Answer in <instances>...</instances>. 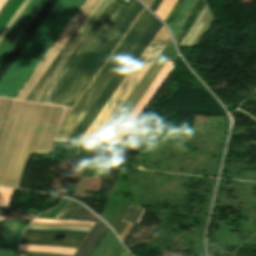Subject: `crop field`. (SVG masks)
Wrapping results in <instances>:
<instances>
[{"label":"crop field","instance_id":"obj_1","mask_svg":"<svg viewBox=\"0 0 256 256\" xmlns=\"http://www.w3.org/2000/svg\"><path fill=\"white\" fill-rule=\"evenodd\" d=\"M143 8L112 2L40 102L73 107Z\"/></svg>","mask_w":256,"mask_h":256},{"label":"crop field","instance_id":"obj_2","mask_svg":"<svg viewBox=\"0 0 256 256\" xmlns=\"http://www.w3.org/2000/svg\"><path fill=\"white\" fill-rule=\"evenodd\" d=\"M83 0H58L0 80V96L13 98Z\"/></svg>","mask_w":256,"mask_h":256},{"label":"crop field","instance_id":"obj_3","mask_svg":"<svg viewBox=\"0 0 256 256\" xmlns=\"http://www.w3.org/2000/svg\"><path fill=\"white\" fill-rule=\"evenodd\" d=\"M154 18L155 17L145 9L69 115L60 125L56 137L57 140H67Z\"/></svg>","mask_w":256,"mask_h":256},{"label":"crop field","instance_id":"obj_4","mask_svg":"<svg viewBox=\"0 0 256 256\" xmlns=\"http://www.w3.org/2000/svg\"><path fill=\"white\" fill-rule=\"evenodd\" d=\"M169 39L162 25L80 141L97 140Z\"/></svg>","mask_w":256,"mask_h":256},{"label":"crop field","instance_id":"obj_5","mask_svg":"<svg viewBox=\"0 0 256 256\" xmlns=\"http://www.w3.org/2000/svg\"><path fill=\"white\" fill-rule=\"evenodd\" d=\"M156 18L155 20L152 22V24L149 26V28L147 29V31L144 33V35L142 36V38L139 40V42L136 44V46L134 47V49L131 51V53L129 54V56L126 58V60L123 62V64L121 65V67L118 69V71L115 73V75L113 76V78L110 80V82L108 83V85L105 87V89L102 91V93L100 94V96L97 98V100L94 102V104L92 105V107L89 109V111L87 112V114L84 116V118L81 120V122L79 123V125L76 127V129L74 130V132L71 134V136L68 138V140H71V138L74 136V134L76 133V131L79 129V127L82 125V123L84 122V120L87 118V116L89 115V113L92 111V109L94 108V106L97 104V102L99 101V99L102 97V95L105 93V91L107 90V88L110 86V84L112 83V81L115 79V77L117 76V74L120 72V70L122 69V67L125 65V63L128 61V59L130 58V56L133 54V52L135 51V49L138 47V45L140 44V42L143 40V38L145 37V35L148 33V31L151 29V27L153 26V24L156 22ZM161 23L157 20V22L154 24V26L152 27V29L149 31V33L146 35V37L144 38V40L141 42V44L139 45V47L136 49V51L134 52V54L131 56V58L129 59V61L126 63V65L123 67V69L121 70V72L118 74V76L116 77V79L113 81V83L111 84V86L108 88V90L106 91V93L103 95V97L100 99V101L98 102V104L95 106V108L93 109V111L90 113V115L88 116V118L85 120V122L83 123V125L80 127V129L77 131V133L75 134V136L72 138V141H79V139L82 137V135L84 134V132L87 130V128L89 127V125L92 123V121L95 119V117L97 116V114L100 112V110L102 109V107L105 105V103L107 102V100L110 98V96L112 95V93L115 91V89L117 88V86L120 84V82L123 80V78L125 77V75L128 73V71L130 70V68L133 66V64L135 63V61L138 59V57L140 56V54L143 52V50L145 49V47L148 45V43L151 41V39L153 38V36L156 34V32L158 31V29L161 27Z\"/></svg>","mask_w":256,"mask_h":256},{"label":"crop field","instance_id":"obj_6","mask_svg":"<svg viewBox=\"0 0 256 256\" xmlns=\"http://www.w3.org/2000/svg\"><path fill=\"white\" fill-rule=\"evenodd\" d=\"M85 38L86 36L73 33L26 100L39 102Z\"/></svg>","mask_w":256,"mask_h":256},{"label":"crop field","instance_id":"obj_7","mask_svg":"<svg viewBox=\"0 0 256 256\" xmlns=\"http://www.w3.org/2000/svg\"><path fill=\"white\" fill-rule=\"evenodd\" d=\"M55 219L84 220L97 222L74 256H86V254L90 251L92 246L95 244L97 239L107 227L95 215L83 208L80 204L71 200L68 201V203L59 212Z\"/></svg>","mask_w":256,"mask_h":256},{"label":"crop field","instance_id":"obj_8","mask_svg":"<svg viewBox=\"0 0 256 256\" xmlns=\"http://www.w3.org/2000/svg\"><path fill=\"white\" fill-rule=\"evenodd\" d=\"M25 231L32 232H66L84 234L81 231H57V230H32L26 229ZM83 235L65 234V233H31L24 232L20 239V243L33 244V245H47L54 247H73L77 248L81 241L84 239ZM80 246V245H79Z\"/></svg>","mask_w":256,"mask_h":256},{"label":"crop field","instance_id":"obj_9","mask_svg":"<svg viewBox=\"0 0 256 256\" xmlns=\"http://www.w3.org/2000/svg\"><path fill=\"white\" fill-rule=\"evenodd\" d=\"M47 0H32L0 44V64Z\"/></svg>","mask_w":256,"mask_h":256},{"label":"crop field","instance_id":"obj_10","mask_svg":"<svg viewBox=\"0 0 256 256\" xmlns=\"http://www.w3.org/2000/svg\"><path fill=\"white\" fill-rule=\"evenodd\" d=\"M56 1L57 0H48L46 2V4L43 6V8L40 10L38 15L35 17V19L32 21L30 26L27 28V30L24 32V34L21 36L19 41L13 47V49L8 54V56L5 58L3 63L0 65V78L3 76L5 71L11 65V63L16 58V56L19 54V52L24 47V45L27 43L29 38L32 36V34L35 32V30L38 28V26L43 21V19L46 17V15L51 10V8L54 6Z\"/></svg>","mask_w":256,"mask_h":256},{"label":"crop field","instance_id":"obj_11","mask_svg":"<svg viewBox=\"0 0 256 256\" xmlns=\"http://www.w3.org/2000/svg\"><path fill=\"white\" fill-rule=\"evenodd\" d=\"M29 222L7 221L0 235V256H19L17 243Z\"/></svg>","mask_w":256,"mask_h":256},{"label":"crop field","instance_id":"obj_12","mask_svg":"<svg viewBox=\"0 0 256 256\" xmlns=\"http://www.w3.org/2000/svg\"><path fill=\"white\" fill-rule=\"evenodd\" d=\"M174 63V62H173ZM172 62L166 61L160 74L158 75V77L155 79V81L152 83V85L150 86V88L147 90V92L145 93V95L142 97V99L139 101V103L137 104V106L134 108V110L132 111V113L129 115V117L126 119V121L124 122V124L121 126V128L119 129V131L116 133V135L113 137L112 141H118L120 140V138L123 136V134L126 132V130L129 128V126L132 124V122L135 120V118L137 117V115L140 113V111L142 110V108L145 106V104L147 103V101L150 99V97L152 96V94L155 92V90L157 89V87L160 85V83L162 82V80L165 78L170 66H171ZM173 65V64H172ZM172 67V66H171ZM171 69V68H170ZM170 71V70H169ZM169 73V72H168ZM168 75V74H167ZM164 81V80H163Z\"/></svg>","mask_w":256,"mask_h":256},{"label":"crop field","instance_id":"obj_13","mask_svg":"<svg viewBox=\"0 0 256 256\" xmlns=\"http://www.w3.org/2000/svg\"><path fill=\"white\" fill-rule=\"evenodd\" d=\"M205 4L206 3L202 0L197 1L196 5L192 9L189 16L187 17L184 24L182 25V27L180 28V30L178 31L177 35L174 38L177 45H180L183 38L185 37V35L189 31V29L191 28L192 24L194 23V21L196 20V18L200 14V12L203 9V7L205 6Z\"/></svg>","mask_w":256,"mask_h":256},{"label":"crop field","instance_id":"obj_14","mask_svg":"<svg viewBox=\"0 0 256 256\" xmlns=\"http://www.w3.org/2000/svg\"><path fill=\"white\" fill-rule=\"evenodd\" d=\"M196 1L197 0H185L184 4L182 5L180 10L178 11L176 16L174 17L173 21L169 25V28H170V30L173 34V37L176 35L177 31L179 30V28L183 24L184 20L186 19L189 12L191 11L193 6L195 5Z\"/></svg>","mask_w":256,"mask_h":256},{"label":"crop field","instance_id":"obj_15","mask_svg":"<svg viewBox=\"0 0 256 256\" xmlns=\"http://www.w3.org/2000/svg\"><path fill=\"white\" fill-rule=\"evenodd\" d=\"M34 216L23 211L0 207V220H32Z\"/></svg>","mask_w":256,"mask_h":256},{"label":"crop field","instance_id":"obj_16","mask_svg":"<svg viewBox=\"0 0 256 256\" xmlns=\"http://www.w3.org/2000/svg\"><path fill=\"white\" fill-rule=\"evenodd\" d=\"M142 209L141 208H137V207H133L130 206L129 210L127 211L123 221L125 222H130L135 224L138 216L140 215Z\"/></svg>","mask_w":256,"mask_h":256},{"label":"crop field","instance_id":"obj_17","mask_svg":"<svg viewBox=\"0 0 256 256\" xmlns=\"http://www.w3.org/2000/svg\"><path fill=\"white\" fill-rule=\"evenodd\" d=\"M13 190L0 188V206H7Z\"/></svg>","mask_w":256,"mask_h":256},{"label":"crop field","instance_id":"obj_18","mask_svg":"<svg viewBox=\"0 0 256 256\" xmlns=\"http://www.w3.org/2000/svg\"><path fill=\"white\" fill-rule=\"evenodd\" d=\"M127 252L123 249V247L120 245V243L117 242L115 243V245L113 246V248L111 249V251L109 252V254L107 256H127Z\"/></svg>","mask_w":256,"mask_h":256},{"label":"crop field","instance_id":"obj_19","mask_svg":"<svg viewBox=\"0 0 256 256\" xmlns=\"http://www.w3.org/2000/svg\"><path fill=\"white\" fill-rule=\"evenodd\" d=\"M20 246L75 251V249H72V248H54V247H47V246H31V245H21V244ZM25 247H20V248H25ZM37 248H27V249H37ZM27 249H20V250H27ZM48 249H43V250H48ZM28 251H42V250H28ZM58 251H44V252H58ZM58 253H69V252H58ZM69 254H72V253H69Z\"/></svg>","mask_w":256,"mask_h":256},{"label":"crop field","instance_id":"obj_20","mask_svg":"<svg viewBox=\"0 0 256 256\" xmlns=\"http://www.w3.org/2000/svg\"><path fill=\"white\" fill-rule=\"evenodd\" d=\"M32 222H45V223H83V224H94V223H91V222H83V221L49 220V219H40V218H35Z\"/></svg>","mask_w":256,"mask_h":256},{"label":"crop field","instance_id":"obj_21","mask_svg":"<svg viewBox=\"0 0 256 256\" xmlns=\"http://www.w3.org/2000/svg\"><path fill=\"white\" fill-rule=\"evenodd\" d=\"M183 1L184 0H177V2L175 3L174 7L172 8V10L170 11L167 18L164 21L167 26L170 23V21L172 20V18L174 17V15L176 14L177 10L179 9V7L183 3Z\"/></svg>","mask_w":256,"mask_h":256},{"label":"crop field","instance_id":"obj_22","mask_svg":"<svg viewBox=\"0 0 256 256\" xmlns=\"http://www.w3.org/2000/svg\"><path fill=\"white\" fill-rule=\"evenodd\" d=\"M109 228L107 227V229L104 231V233L102 234V236L100 237V239L97 241V243L94 245V247L91 249V251L88 253L87 256H91L93 254V252L96 250V248L98 247V245L101 243V241L104 239V237L106 236V234L109 232Z\"/></svg>","mask_w":256,"mask_h":256},{"label":"crop field","instance_id":"obj_23","mask_svg":"<svg viewBox=\"0 0 256 256\" xmlns=\"http://www.w3.org/2000/svg\"><path fill=\"white\" fill-rule=\"evenodd\" d=\"M19 252H20V254H30V255L68 256V255L50 254V253H40V252H27V251H19Z\"/></svg>","mask_w":256,"mask_h":256},{"label":"crop field","instance_id":"obj_24","mask_svg":"<svg viewBox=\"0 0 256 256\" xmlns=\"http://www.w3.org/2000/svg\"><path fill=\"white\" fill-rule=\"evenodd\" d=\"M161 0H154V2L152 3V5L150 6V10H152L153 12H155L156 8L158 7V5L160 4Z\"/></svg>","mask_w":256,"mask_h":256},{"label":"crop field","instance_id":"obj_25","mask_svg":"<svg viewBox=\"0 0 256 256\" xmlns=\"http://www.w3.org/2000/svg\"><path fill=\"white\" fill-rule=\"evenodd\" d=\"M3 223H4V222H0V232H1L2 227H3Z\"/></svg>","mask_w":256,"mask_h":256},{"label":"crop field","instance_id":"obj_26","mask_svg":"<svg viewBox=\"0 0 256 256\" xmlns=\"http://www.w3.org/2000/svg\"><path fill=\"white\" fill-rule=\"evenodd\" d=\"M22 256H30V255H22Z\"/></svg>","mask_w":256,"mask_h":256},{"label":"crop field","instance_id":"obj_27","mask_svg":"<svg viewBox=\"0 0 256 256\" xmlns=\"http://www.w3.org/2000/svg\"><path fill=\"white\" fill-rule=\"evenodd\" d=\"M144 2V0H142Z\"/></svg>","mask_w":256,"mask_h":256}]
</instances>
